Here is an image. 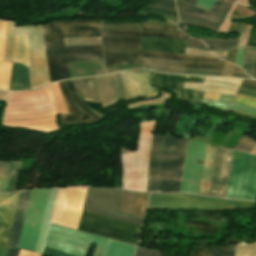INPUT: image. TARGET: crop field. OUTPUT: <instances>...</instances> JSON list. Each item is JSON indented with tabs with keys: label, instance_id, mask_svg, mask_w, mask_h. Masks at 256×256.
I'll return each mask as SVG.
<instances>
[{
	"label": "crop field",
	"instance_id": "obj_1",
	"mask_svg": "<svg viewBox=\"0 0 256 256\" xmlns=\"http://www.w3.org/2000/svg\"><path fill=\"white\" fill-rule=\"evenodd\" d=\"M123 192L110 188H88L83 209L141 225L143 217L119 211ZM84 210L79 230L133 245L136 244L140 225Z\"/></svg>",
	"mask_w": 256,
	"mask_h": 256
},
{
	"label": "crop field",
	"instance_id": "obj_2",
	"mask_svg": "<svg viewBox=\"0 0 256 256\" xmlns=\"http://www.w3.org/2000/svg\"><path fill=\"white\" fill-rule=\"evenodd\" d=\"M101 21L76 20L43 25L50 81L70 78L67 62L102 59L101 45L65 47L63 37H100Z\"/></svg>",
	"mask_w": 256,
	"mask_h": 256
},
{
	"label": "crop field",
	"instance_id": "obj_3",
	"mask_svg": "<svg viewBox=\"0 0 256 256\" xmlns=\"http://www.w3.org/2000/svg\"><path fill=\"white\" fill-rule=\"evenodd\" d=\"M58 114L68 113L58 84L54 83L34 91L9 92L2 124L51 133L59 130Z\"/></svg>",
	"mask_w": 256,
	"mask_h": 256
},
{
	"label": "crop field",
	"instance_id": "obj_4",
	"mask_svg": "<svg viewBox=\"0 0 256 256\" xmlns=\"http://www.w3.org/2000/svg\"><path fill=\"white\" fill-rule=\"evenodd\" d=\"M252 207H255V202L231 201L227 199L207 198L189 194L151 193L147 209L223 210Z\"/></svg>",
	"mask_w": 256,
	"mask_h": 256
},
{
	"label": "crop field",
	"instance_id": "obj_5",
	"mask_svg": "<svg viewBox=\"0 0 256 256\" xmlns=\"http://www.w3.org/2000/svg\"><path fill=\"white\" fill-rule=\"evenodd\" d=\"M155 121L140 124L137 152L124 154V189L145 191L149 151Z\"/></svg>",
	"mask_w": 256,
	"mask_h": 256
},
{
	"label": "crop field",
	"instance_id": "obj_6",
	"mask_svg": "<svg viewBox=\"0 0 256 256\" xmlns=\"http://www.w3.org/2000/svg\"><path fill=\"white\" fill-rule=\"evenodd\" d=\"M108 241L107 239L50 224L44 246L78 256H86L90 244L95 242L96 247L93 256H104Z\"/></svg>",
	"mask_w": 256,
	"mask_h": 256
},
{
	"label": "crop field",
	"instance_id": "obj_7",
	"mask_svg": "<svg viewBox=\"0 0 256 256\" xmlns=\"http://www.w3.org/2000/svg\"><path fill=\"white\" fill-rule=\"evenodd\" d=\"M256 156L233 151L226 197L255 200Z\"/></svg>",
	"mask_w": 256,
	"mask_h": 256
},
{
	"label": "crop field",
	"instance_id": "obj_8",
	"mask_svg": "<svg viewBox=\"0 0 256 256\" xmlns=\"http://www.w3.org/2000/svg\"><path fill=\"white\" fill-rule=\"evenodd\" d=\"M186 143L165 137L157 192H179Z\"/></svg>",
	"mask_w": 256,
	"mask_h": 256
},
{
	"label": "crop field",
	"instance_id": "obj_9",
	"mask_svg": "<svg viewBox=\"0 0 256 256\" xmlns=\"http://www.w3.org/2000/svg\"><path fill=\"white\" fill-rule=\"evenodd\" d=\"M105 66L114 64H135L142 63V57H153L176 60H194L185 61L184 67L194 68H214L223 69L224 61L205 56L180 55L172 53H160L149 51H120L104 53Z\"/></svg>",
	"mask_w": 256,
	"mask_h": 256
},
{
	"label": "crop field",
	"instance_id": "obj_10",
	"mask_svg": "<svg viewBox=\"0 0 256 256\" xmlns=\"http://www.w3.org/2000/svg\"><path fill=\"white\" fill-rule=\"evenodd\" d=\"M61 89V92L65 98L67 109L69 115H61L62 120L64 124H69V123H85L89 121H96L99 120L97 117H95L86 107V105L83 103L81 100L80 96L78 95L76 88L78 92L80 93L81 97L85 101H91L95 103H99L97 94L95 91L94 83L92 77L89 78H82V79H76L74 81H69L67 82V87L69 89V92L73 96L76 104L79 106V108L84 112L85 115L88 116L89 119H86L75 107L73 104L70 95L67 91L65 82L58 83ZM76 86V88H75ZM69 120H83V121H76V122H64V121H69Z\"/></svg>",
	"mask_w": 256,
	"mask_h": 256
},
{
	"label": "crop field",
	"instance_id": "obj_11",
	"mask_svg": "<svg viewBox=\"0 0 256 256\" xmlns=\"http://www.w3.org/2000/svg\"><path fill=\"white\" fill-rule=\"evenodd\" d=\"M49 190H32L18 247L35 250Z\"/></svg>",
	"mask_w": 256,
	"mask_h": 256
},
{
	"label": "crop field",
	"instance_id": "obj_12",
	"mask_svg": "<svg viewBox=\"0 0 256 256\" xmlns=\"http://www.w3.org/2000/svg\"><path fill=\"white\" fill-rule=\"evenodd\" d=\"M141 36L186 40V35L179 33L137 30L102 31L103 52L142 50Z\"/></svg>",
	"mask_w": 256,
	"mask_h": 256
},
{
	"label": "crop field",
	"instance_id": "obj_13",
	"mask_svg": "<svg viewBox=\"0 0 256 256\" xmlns=\"http://www.w3.org/2000/svg\"><path fill=\"white\" fill-rule=\"evenodd\" d=\"M204 146L188 140L180 192L197 194L202 165L195 164V159L202 160Z\"/></svg>",
	"mask_w": 256,
	"mask_h": 256
},
{
	"label": "crop field",
	"instance_id": "obj_14",
	"mask_svg": "<svg viewBox=\"0 0 256 256\" xmlns=\"http://www.w3.org/2000/svg\"><path fill=\"white\" fill-rule=\"evenodd\" d=\"M152 74H153V79H152L153 85L176 92L178 94L177 98L179 99H182L185 101L199 102L200 98L204 94V92L202 91L182 89L181 83L161 82V81L183 82V76L158 74L155 72H153ZM202 79L203 77L185 76L184 81L202 83Z\"/></svg>",
	"mask_w": 256,
	"mask_h": 256
},
{
	"label": "crop field",
	"instance_id": "obj_15",
	"mask_svg": "<svg viewBox=\"0 0 256 256\" xmlns=\"http://www.w3.org/2000/svg\"><path fill=\"white\" fill-rule=\"evenodd\" d=\"M230 154L231 150L217 146L209 196L225 195Z\"/></svg>",
	"mask_w": 256,
	"mask_h": 256
},
{
	"label": "crop field",
	"instance_id": "obj_16",
	"mask_svg": "<svg viewBox=\"0 0 256 256\" xmlns=\"http://www.w3.org/2000/svg\"><path fill=\"white\" fill-rule=\"evenodd\" d=\"M127 98L146 96L155 97L157 92L148 85V72H123L120 73Z\"/></svg>",
	"mask_w": 256,
	"mask_h": 256
},
{
	"label": "crop field",
	"instance_id": "obj_17",
	"mask_svg": "<svg viewBox=\"0 0 256 256\" xmlns=\"http://www.w3.org/2000/svg\"><path fill=\"white\" fill-rule=\"evenodd\" d=\"M19 193L0 194V224L11 226ZM0 225V243H7L10 227Z\"/></svg>",
	"mask_w": 256,
	"mask_h": 256
},
{
	"label": "crop field",
	"instance_id": "obj_18",
	"mask_svg": "<svg viewBox=\"0 0 256 256\" xmlns=\"http://www.w3.org/2000/svg\"><path fill=\"white\" fill-rule=\"evenodd\" d=\"M153 2L146 6L143 11L156 13L168 17L177 18V12L175 9L174 0H152ZM142 29L150 30H161V31H171V32H180L177 27L170 26H157V25H147L142 24ZM182 33V32H180Z\"/></svg>",
	"mask_w": 256,
	"mask_h": 256
},
{
	"label": "crop field",
	"instance_id": "obj_19",
	"mask_svg": "<svg viewBox=\"0 0 256 256\" xmlns=\"http://www.w3.org/2000/svg\"><path fill=\"white\" fill-rule=\"evenodd\" d=\"M30 192H31V190L23 191L20 193L13 225H12L8 243H7L8 245H12V246H16V247L18 245V241H19V237H20V233H21V229H22V225H23V221H24V216H25Z\"/></svg>",
	"mask_w": 256,
	"mask_h": 256
},
{
	"label": "crop field",
	"instance_id": "obj_20",
	"mask_svg": "<svg viewBox=\"0 0 256 256\" xmlns=\"http://www.w3.org/2000/svg\"><path fill=\"white\" fill-rule=\"evenodd\" d=\"M143 49L184 53L185 41L142 37Z\"/></svg>",
	"mask_w": 256,
	"mask_h": 256
},
{
	"label": "crop field",
	"instance_id": "obj_21",
	"mask_svg": "<svg viewBox=\"0 0 256 256\" xmlns=\"http://www.w3.org/2000/svg\"><path fill=\"white\" fill-rule=\"evenodd\" d=\"M163 136L153 135L146 191H155Z\"/></svg>",
	"mask_w": 256,
	"mask_h": 256
},
{
	"label": "crop field",
	"instance_id": "obj_22",
	"mask_svg": "<svg viewBox=\"0 0 256 256\" xmlns=\"http://www.w3.org/2000/svg\"><path fill=\"white\" fill-rule=\"evenodd\" d=\"M203 85L213 86V87H221V88H231V89H237V87H238V85H234V84L211 83V82H204ZM205 86H201V84H198V83L184 82V88L204 90V91H206V93L203 98L216 100V101L219 100L220 95L214 94V93H209V92L223 93V94H228V95H232V96H234L235 92H236V91H232V90L205 87Z\"/></svg>",
	"mask_w": 256,
	"mask_h": 256
},
{
	"label": "crop field",
	"instance_id": "obj_23",
	"mask_svg": "<svg viewBox=\"0 0 256 256\" xmlns=\"http://www.w3.org/2000/svg\"><path fill=\"white\" fill-rule=\"evenodd\" d=\"M143 66L162 72L182 73L183 61L143 58Z\"/></svg>",
	"mask_w": 256,
	"mask_h": 256
},
{
	"label": "crop field",
	"instance_id": "obj_24",
	"mask_svg": "<svg viewBox=\"0 0 256 256\" xmlns=\"http://www.w3.org/2000/svg\"><path fill=\"white\" fill-rule=\"evenodd\" d=\"M25 89H30L28 83L27 69H25L21 65L13 63L9 90Z\"/></svg>",
	"mask_w": 256,
	"mask_h": 256
},
{
	"label": "crop field",
	"instance_id": "obj_25",
	"mask_svg": "<svg viewBox=\"0 0 256 256\" xmlns=\"http://www.w3.org/2000/svg\"><path fill=\"white\" fill-rule=\"evenodd\" d=\"M236 246L194 248L191 256H234Z\"/></svg>",
	"mask_w": 256,
	"mask_h": 256
},
{
	"label": "crop field",
	"instance_id": "obj_26",
	"mask_svg": "<svg viewBox=\"0 0 256 256\" xmlns=\"http://www.w3.org/2000/svg\"><path fill=\"white\" fill-rule=\"evenodd\" d=\"M178 13H179V17H180V22H183V23L209 27V28L213 29L214 31H217V29L220 26V23L201 18L197 15H194V14H191L188 12L178 10Z\"/></svg>",
	"mask_w": 256,
	"mask_h": 256
},
{
	"label": "crop field",
	"instance_id": "obj_27",
	"mask_svg": "<svg viewBox=\"0 0 256 256\" xmlns=\"http://www.w3.org/2000/svg\"><path fill=\"white\" fill-rule=\"evenodd\" d=\"M134 249L133 246L110 240L105 256H133Z\"/></svg>",
	"mask_w": 256,
	"mask_h": 256
},
{
	"label": "crop field",
	"instance_id": "obj_28",
	"mask_svg": "<svg viewBox=\"0 0 256 256\" xmlns=\"http://www.w3.org/2000/svg\"><path fill=\"white\" fill-rule=\"evenodd\" d=\"M176 1H177V8L178 9H181V10H184V11H188V12L197 14V15H199L201 17L208 18V19L220 22V23L222 22V18L217 16V15H215V14L207 12V11L201 9V8H198L196 6L190 5V4L185 3L183 1H180V0H176Z\"/></svg>",
	"mask_w": 256,
	"mask_h": 256
},
{
	"label": "crop field",
	"instance_id": "obj_29",
	"mask_svg": "<svg viewBox=\"0 0 256 256\" xmlns=\"http://www.w3.org/2000/svg\"><path fill=\"white\" fill-rule=\"evenodd\" d=\"M13 62L22 63L28 67L26 37H16Z\"/></svg>",
	"mask_w": 256,
	"mask_h": 256
},
{
	"label": "crop field",
	"instance_id": "obj_30",
	"mask_svg": "<svg viewBox=\"0 0 256 256\" xmlns=\"http://www.w3.org/2000/svg\"><path fill=\"white\" fill-rule=\"evenodd\" d=\"M12 161H0V192H6Z\"/></svg>",
	"mask_w": 256,
	"mask_h": 256
},
{
	"label": "crop field",
	"instance_id": "obj_31",
	"mask_svg": "<svg viewBox=\"0 0 256 256\" xmlns=\"http://www.w3.org/2000/svg\"><path fill=\"white\" fill-rule=\"evenodd\" d=\"M239 38H232V39H221V40H206L201 39L204 41L209 48L216 49V50H227V45H236Z\"/></svg>",
	"mask_w": 256,
	"mask_h": 256
},
{
	"label": "crop field",
	"instance_id": "obj_32",
	"mask_svg": "<svg viewBox=\"0 0 256 256\" xmlns=\"http://www.w3.org/2000/svg\"><path fill=\"white\" fill-rule=\"evenodd\" d=\"M231 100H232L231 96L221 94L219 102L203 99L201 103L207 104L208 107L226 111Z\"/></svg>",
	"mask_w": 256,
	"mask_h": 256
},
{
	"label": "crop field",
	"instance_id": "obj_33",
	"mask_svg": "<svg viewBox=\"0 0 256 256\" xmlns=\"http://www.w3.org/2000/svg\"><path fill=\"white\" fill-rule=\"evenodd\" d=\"M235 0H216L211 11L226 16Z\"/></svg>",
	"mask_w": 256,
	"mask_h": 256
},
{
	"label": "crop field",
	"instance_id": "obj_34",
	"mask_svg": "<svg viewBox=\"0 0 256 256\" xmlns=\"http://www.w3.org/2000/svg\"><path fill=\"white\" fill-rule=\"evenodd\" d=\"M20 161H13L7 192H14L16 189Z\"/></svg>",
	"mask_w": 256,
	"mask_h": 256
},
{
	"label": "crop field",
	"instance_id": "obj_35",
	"mask_svg": "<svg viewBox=\"0 0 256 256\" xmlns=\"http://www.w3.org/2000/svg\"><path fill=\"white\" fill-rule=\"evenodd\" d=\"M140 29V24L108 23L102 21V30Z\"/></svg>",
	"mask_w": 256,
	"mask_h": 256
},
{
	"label": "crop field",
	"instance_id": "obj_36",
	"mask_svg": "<svg viewBox=\"0 0 256 256\" xmlns=\"http://www.w3.org/2000/svg\"><path fill=\"white\" fill-rule=\"evenodd\" d=\"M223 70L184 68L183 73L199 75H221Z\"/></svg>",
	"mask_w": 256,
	"mask_h": 256
},
{
	"label": "crop field",
	"instance_id": "obj_37",
	"mask_svg": "<svg viewBox=\"0 0 256 256\" xmlns=\"http://www.w3.org/2000/svg\"><path fill=\"white\" fill-rule=\"evenodd\" d=\"M256 141L249 139L247 137H242V139L239 141V143L235 146V150L243 151L249 153L253 145ZM255 146V145H254Z\"/></svg>",
	"mask_w": 256,
	"mask_h": 256
},
{
	"label": "crop field",
	"instance_id": "obj_38",
	"mask_svg": "<svg viewBox=\"0 0 256 256\" xmlns=\"http://www.w3.org/2000/svg\"><path fill=\"white\" fill-rule=\"evenodd\" d=\"M252 61H253V51L251 48L246 47L243 70L249 75H251V71H252Z\"/></svg>",
	"mask_w": 256,
	"mask_h": 256
},
{
	"label": "crop field",
	"instance_id": "obj_39",
	"mask_svg": "<svg viewBox=\"0 0 256 256\" xmlns=\"http://www.w3.org/2000/svg\"><path fill=\"white\" fill-rule=\"evenodd\" d=\"M233 101V100H232ZM256 109V99L236 94L234 101Z\"/></svg>",
	"mask_w": 256,
	"mask_h": 256
},
{
	"label": "crop field",
	"instance_id": "obj_40",
	"mask_svg": "<svg viewBox=\"0 0 256 256\" xmlns=\"http://www.w3.org/2000/svg\"><path fill=\"white\" fill-rule=\"evenodd\" d=\"M204 80L216 81V82H225V83H235V84H240L241 83V79H232V78H211V77H205Z\"/></svg>",
	"mask_w": 256,
	"mask_h": 256
},
{
	"label": "crop field",
	"instance_id": "obj_41",
	"mask_svg": "<svg viewBox=\"0 0 256 256\" xmlns=\"http://www.w3.org/2000/svg\"><path fill=\"white\" fill-rule=\"evenodd\" d=\"M43 254L47 255V256H74V255L66 254V253L52 250V249L45 248V247H44Z\"/></svg>",
	"mask_w": 256,
	"mask_h": 256
},
{
	"label": "crop field",
	"instance_id": "obj_42",
	"mask_svg": "<svg viewBox=\"0 0 256 256\" xmlns=\"http://www.w3.org/2000/svg\"><path fill=\"white\" fill-rule=\"evenodd\" d=\"M232 104V103H231ZM231 108L233 109H238V110H241V111H244L246 113H249V114H252V115H255L256 116V110L255 109H252V108H249V107H246V106H242V105H238V104H232Z\"/></svg>",
	"mask_w": 256,
	"mask_h": 256
},
{
	"label": "crop field",
	"instance_id": "obj_43",
	"mask_svg": "<svg viewBox=\"0 0 256 256\" xmlns=\"http://www.w3.org/2000/svg\"><path fill=\"white\" fill-rule=\"evenodd\" d=\"M135 256H160V253L137 248Z\"/></svg>",
	"mask_w": 256,
	"mask_h": 256
},
{
	"label": "crop field",
	"instance_id": "obj_44",
	"mask_svg": "<svg viewBox=\"0 0 256 256\" xmlns=\"http://www.w3.org/2000/svg\"><path fill=\"white\" fill-rule=\"evenodd\" d=\"M244 49L236 50V58L234 64L240 66L242 68L243 66V59H244V54H243Z\"/></svg>",
	"mask_w": 256,
	"mask_h": 256
},
{
	"label": "crop field",
	"instance_id": "obj_45",
	"mask_svg": "<svg viewBox=\"0 0 256 256\" xmlns=\"http://www.w3.org/2000/svg\"><path fill=\"white\" fill-rule=\"evenodd\" d=\"M215 0H199L197 6L210 10Z\"/></svg>",
	"mask_w": 256,
	"mask_h": 256
},
{
	"label": "crop field",
	"instance_id": "obj_46",
	"mask_svg": "<svg viewBox=\"0 0 256 256\" xmlns=\"http://www.w3.org/2000/svg\"><path fill=\"white\" fill-rule=\"evenodd\" d=\"M186 46H193V47H203L206 48L204 46V44L198 40L192 39V38H187V44Z\"/></svg>",
	"mask_w": 256,
	"mask_h": 256
},
{
	"label": "crop field",
	"instance_id": "obj_47",
	"mask_svg": "<svg viewBox=\"0 0 256 256\" xmlns=\"http://www.w3.org/2000/svg\"><path fill=\"white\" fill-rule=\"evenodd\" d=\"M238 92L256 97V90H254V89L240 87Z\"/></svg>",
	"mask_w": 256,
	"mask_h": 256
},
{
	"label": "crop field",
	"instance_id": "obj_48",
	"mask_svg": "<svg viewBox=\"0 0 256 256\" xmlns=\"http://www.w3.org/2000/svg\"><path fill=\"white\" fill-rule=\"evenodd\" d=\"M232 76L247 77V78H249L248 76H246V75L243 73V71H242L240 68H238V67H236V66H234V68H233V74H232Z\"/></svg>",
	"mask_w": 256,
	"mask_h": 256
},
{
	"label": "crop field",
	"instance_id": "obj_49",
	"mask_svg": "<svg viewBox=\"0 0 256 256\" xmlns=\"http://www.w3.org/2000/svg\"><path fill=\"white\" fill-rule=\"evenodd\" d=\"M241 86L256 88V81H254V80H244L243 83L241 84Z\"/></svg>",
	"mask_w": 256,
	"mask_h": 256
},
{
	"label": "crop field",
	"instance_id": "obj_50",
	"mask_svg": "<svg viewBox=\"0 0 256 256\" xmlns=\"http://www.w3.org/2000/svg\"><path fill=\"white\" fill-rule=\"evenodd\" d=\"M19 251H20L19 249H15V248L10 247L6 256H17Z\"/></svg>",
	"mask_w": 256,
	"mask_h": 256
},
{
	"label": "crop field",
	"instance_id": "obj_51",
	"mask_svg": "<svg viewBox=\"0 0 256 256\" xmlns=\"http://www.w3.org/2000/svg\"><path fill=\"white\" fill-rule=\"evenodd\" d=\"M255 48V55H254V61H253V72H252V77L256 78V47Z\"/></svg>",
	"mask_w": 256,
	"mask_h": 256
},
{
	"label": "crop field",
	"instance_id": "obj_52",
	"mask_svg": "<svg viewBox=\"0 0 256 256\" xmlns=\"http://www.w3.org/2000/svg\"><path fill=\"white\" fill-rule=\"evenodd\" d=\"M9 247L0 245V256H5Z\"/></svg>",
	"mask_w": 256,
	"mask_h": 256
},
{
	"label": "crop field",
	"instance_id": "obj_53",
	"mask_svg": "<svg viewBox=\"0 0 256 256\" xmlns=\"http://www.w3.org/2000/svg\"><path fill=\"white\" fill-rule=\"evenodd\" d=\"M184 1L189 2V3H192V4L195 5L198 0H184Z\"/></svg>",
	"mask_w": 256,
	"mask_h": 256
}]
</instances>
